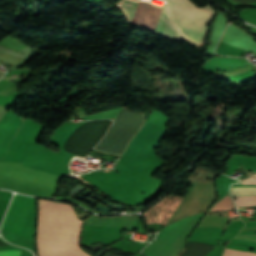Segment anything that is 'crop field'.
Instances as JSON below:
<instances>
[{
  "mask_svg": "<svg viewBox=\"0 0 256 256\" xmlns=\"http://www.w3.org/2000/svg\"><path fill=\"white\" fill-rule=\"evenodd\" d=\"M237 207L256 205V196L236 197Z\"/></svg>",
  "mask_w": 256,
  "mask_h": 256,
  "instance_id": "5",
  "label": "crop field"
},
{
  "mask_svg": "<svg viewBox=\"0 0 256 256\" xmlns=\"http://www.w3.org/2000/svg\"><path fill=\"white\" fill-rule=\"evenodd\" d=\"M254 177H256V174L255 175H253Z\"/></svg>",
  "mask_w": 256,
  "mask_h": 256,
  "instance_id": "11",
  "label": "crop field"
},
{
  "mask_svg": "<svg viewBox=\"0 0 256 256\" xmlns=\"http://www.w3.org/2000/svg\"><path fill=\"white\" fill-rule=\"evenodd\" d=\"M82 222L71 206L39 199V256H88L78 244Z\"/></svg>",
  "mask_w": 256,
  "mask_h": 256,
  "instance_id": "1",
  "label": "crop field"
},
{
  "mask_svg": "<svg viewBox=\"0 0 256 256\" xmlns=\"http://www.w3.org/2000/svg\"><path fill=\"white\" fill-rule=\"evenodd\" d=\"M239 3H242V4H246V3H250V2H256V0H235Z\"/></svg>",
  "mask_w": 256,
  "mask_h": 256,
  "instance_id": "10",
  "label": "crop field"
},
{
  "mask_svg": "<svg viewBox=\"0 0 256 256\" xmlns=\"http://www.w3.org/2000/svg\"><path fill=\"white\" fill-rule=\"evenodd\" d=\"M117 4L126 12L131 24L144 27L159 34L164 5L163 1L151 0L145 2L121 0ZM160 34L175 40H179L182 36L170 18L166 3L164 5Z\"/></svg>",
  "mask_w": 256,
  "mask_h": 256,
  "instance_id": "2",
  "label": "crop field"
},
{
  "mask_svg": "<svg viewBox=\"0 0 256 256\" xmlns=\"http://www.w3.org/2000/svg\"><path fill=\"white\" fill-rule=\"evenodd\" d=\"M222 256H256L254 252H243L226 248Z\"/></svg>",
  "mask_w": 256,
  "mask_h": 256,
  "instance_id": "7",
  "label": "crop field"
},
{
  "mask_svg": "<svg viewBox=\"0 0 256 256\" xmlns=\"http://www.w3.org/2000/svg\"><path fill=\"white\" fill-rule=\"evenodd\" d=\"M167 1L172 18L182 35L196 45H202L214 9L210 6L199 8L189 0Z\"/></svg>",
  "mask_w": 256,
  "mask_h": 256,
  "instance_id": "3",
  "label": "crop field"
},
{
  "mask_svg": "<svg viewBox=\"0 0 256 256\" xmlns=\"http://www.w3.org/2000/svg\"><path fill=\"white\" fill-rule=\"evenodd\" d=\"M243 184H249V185H256V179L255 178H248L242 180Z\"/></svg>",
  "mask_w": 256,
  "mask_h": 256,
  "instance_id": "9",
  "label": "crop field"
},
{
  "mask_svg": "<svg viewBox=\"0 0 256 256\" xmlns=\"http://www.w3.org/2000/svg\"><path fill=\"white\" fill-rule=\"evenodd\" d=\"M20 253L17 251H0V256H20Z\"/></svg>",
  "mask_w": 256,
  "mask_h": 256,
  "instance_id": "8",
  "label": "crop field"
},
{
  "mask_svg": "<svg viewBox=\"0 0 256 256\" xmlns=\"http://www.w3.org/2000/svg\"><path fill=\"white\" fill-rule=\"evenodd\" d=\"M234 196L256 195V188H232Z\"/></svg>",
  "mask_w": 256,
  "mask_h": 256,
  "instance_id": "6",
  "label": "crop field"
},
{
  "mask_svg": "<svg viewBox=\"0 0 256 256\" xmlns=\"http://www.w3.org/2000/svg\"><path fill=\"white\" fill-rule=\"evenodd\" d=\"M35 198L17 195L13 200L2 228L33 240Z\"/></svg>",
  "mask_w": 256,
  "mask_h": 256,
  "instance_id": "4",
  "label": "crop field"
}]
</instances>
